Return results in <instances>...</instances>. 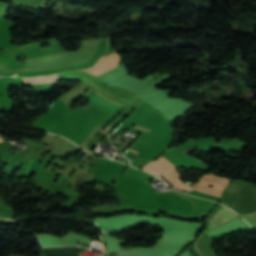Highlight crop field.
Instances as JSON below:
<instances>
[{"instance_id": "1", "label": "crop field", "mask_w": 256, "mask_h": 256, "mask_svg": "<svg viewBox=\"0 0 256 256\" xmlns=\"http://www.w3.org/2000/svg\"><path fill=\"white\" fill-rule=\"evenodd\" d=\"M239 217L237 214L229 210L228 208L222 206L219 211L212 217L208 222V230L212 228L219 227L224 223Z\"/></svg>"}, {"instance_id": "2", "label": "crop field", "mask_w": 256, "mask_h": 256, "mask_svg": "<svg viewBox=\"0 0 256 256\" xmlns=\"http://www.w3.org/2000/svg\"><path fill=\"white\" fill-rule=\"evenodd\" d=\"M118 60H119V57L116 54L102 57L97 62V64L94 67H92L91 69L80 70V71H87L92 74L98 75L104 71H107V70L117 66Z\"/></svg>"}, {"instance_id": "3", "label": "crop field", "mask_w": 256, "mask_h": 256, "mask_svg": "<svg viewBox=\"0 0 256 256\" xmlns=\"http://www.w3.org/2000/svg\"><path fill=\"white\" fill-rule=\"evenodd\" d=\"M161 157L158 158L156 161L149 162L148 164L143 166L142 169L161 177L165 172L174 168L172 164L171 165L173 166V168L171 167V165H169L170 163L166 159L162 157L169 164L166 163Z\"/></svg>"}, {"instance_id": "4", "label": "crop field", "mask_w": 256, "mask_h": 256, "mask_svg": "<svg viewBox=\"0 0 256 256\" xmlns=\"http://www.w3.org/2000/svg\"><path fill=\"white\" fill-rule=\"evenodd\" d=\"M172 174H174L177 178L180 176L174 171H170ZM170 172L166 173L164 177L165 180L170 182L173 186H175L177 189L180 191H185V190H192L186 183H182L180 180H178L175 176H173Z\"/></svg>"}, {"instance_id": "5", "label": "crop field", "mask_w": 256, "mask_h": 256, "mask_svg": "<svg viewBox=\"0 0 256 256\" xmlns=\"http://www.w3.org/2000/svg\"><path fill=\"white\" fill-rule=\"evenodd\" d=\"M57 80H58L57 74L52 76L37 77V78H23L24 84L42 83V82H50V81H57Z\"/></svg>"}, {"instance_id": "6", "label": "crop field", "mask_w": 256, "mask_h": 256, "mask_svg": "<svg viewBox=\"0 0 256 256\" xmlns=\"http://www.w3.org/2000/svg\"><path fill=\"white\" fill-rule=\"evenodd\" d=\"M30 160H31V159H28L27 166H26V168L24 169V171H23V173H22L23 175L25 174V172H26V170H27V168H28V166H29Z\"/></svg>"}, {"instance_id": "7", "label": "crop field", "mask_w": 256, "mask_h": 256, "mask_svg": "<svg viewBox=\"0 0 256 256\" xmlns=\"http://www.w3.org/2000/svg\"><path fill=\"white\" fill-rule=\"evenodd\" d=\"M3 141V139L0 137V142Z\"/></svg>"}, {"instance_id": "8", "label": "crop field", "mask_w": 256, "mask_h": 256, "mask_svg": "<svg viewBox=\"0 0 256 256\" xmlns=\"http://www.w3.org/2000/svg\"><path fill=\"white\" fill-rule=\"evenodd\" d=\"M130 152H132V151H130ZM132 153H134V154H135V152H132Z\"/></svg>"}]
</instances>
